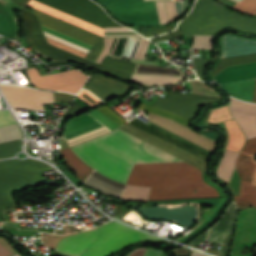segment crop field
<instances>
[{
  "label": "crop field",
  "mask_w": 256,
  "mask_h": 256,
  "mask_svg": "<svg viewBox=\"0 0 256 256\" xmlns=\"http://www.w3.org/2000/svg\"><path fill=\"white\" fill-rule=\"evenodd\" d=\"M72 149L94 169L124 183L134 163L181 161L119 129ZM126 183L151 187L148 200L219 196L201 170L185 162L135 164Z\"/></svg>",
  "instance_id": "1"
},
{
  "label": "crop field",
  "mask_w": 256,
  "mask_h": 256,
  "mask_svg": "<svg viewBox=\"0 0 256 256\" xmlns=\"http://www.w3.org/2000/svg\"><path fill=\"white\" fill-rule=\"evenodd\" d=\"M148 117H149V121L150 122H152V123H154V124H156V125H158V126H160V127H162V128H164V129H166V130H168V131H170V132H172V133H174V134H176V135H178V136H180V137H182V138H184V139H186V140H188V141H190V142H192V143H194V144H196V145H198V146H200V147H202V148H204V149H206V150H208V151H213L214 150V148H215V142H213V141H211V140H209V139H207V138H205V137H203V136H201V135H199V134H197V133H195V132H193V131H191V130H189V129H187V128H185V127H183V126H181V125H179V124H177V123H175V122H172V121H170V120H168V119H165V118H162V117H159V116H155V115H152V114H149L148 113ZM152 123H150L151 125H153V126H155V127H157V128H159V129H161V130H163V131H165V132H167V133H169V134H171V135H173V136H175V137H177V138H179V139H181V140H183V141H185V142H187V143H189V144H191V145H193V146H195V147H197V148H199V149H201V150H203V151H205V152H207V153H210V152H208V151H206V150H204V149H202V148H200V147H198V146H196V145H194V144H192V143H190V142H188V141H186V140H184V139H182V138H180V137H178V136H176V135H174V134H172V133H170V132H168V131H166V130H164V129H162V128H160V127H158V126H156V125H154V124H152ZM126 125H128V126H130V127H132V128H134V129H136V130H138V131H140V132H142V133H144V134H146V135H148V136H150V137H152V138H154V139H156V140H158V141H160V142H162V143H164V144H166V145H168V146H170V147H172V148H174V149H176V150H178V151H180V152H182V153H184V154H186V155H188V156H190V157H192V158H194V159H196V160H198V161H200V162H202V163H204V164H206V160H207V156L209 155V154H207V153H205V152H203V151H201V150H199V149H197V148H195V147H193V146H191V145H189V144H187V143H185V142H183V141H181V140H179V139H177V138H175V137H173V136H171V135H169V134H167V133H165V132H163V131H161V130H159V129H157V128H155V127H153V126H151V125H146L145 123H143V122H141V121H139L138 119H136V118H134L133 120H131V121H129V122H127L126 123ZM125 126V125H124ZM123 127V126H122ZM127 127V126H126ZM121 128V127H120ZM125 128V127H124ZM129 128V127H128ZM123 129V128H122ZM127 129V128H126ZM131 129V128H130ZM125 130V129H124ZM129 130V129H128ZM133 130V129H132ZM127 131V130H126ZM131 131V130H130ZM135 131V130H134ZM129 132V131H128ZM133 132V131H132ZM137 132V131H136ZM131 133V132H130ZM135 133V132H134ZM139 133V132H138ZM133 134V133H132ZM137 134V133H136ZM141 134V133H140ZM135 135V134H134ZM139 135V134H138ZM143 135V134H142ZM137 136V135H136ZM141 136V135H140ZM145 136V135H144ZM139 137V136H138ZM143 137V136H142ZM147 137V136H146ZM141 138V137H140ZM145 138V137H144ZM149 138V137H148ZM143 139V138H142ZM147 139V138H146ZM151 139V138H150ZM145 140V139H144ZM149 140V139H148ZM153 140V139H152ZM147 141V140H146ZM151 141V140H150ZM155 141V140H154ZM149 142V141H148ZM153 142V141H152ZM157 142V141H156ZM151 143V142H150ZM155 143V142H154ZM159 143V142H158ZM153 144V143H152ZM157 144V143H156ZM161 144V143H160ZM155 145V144H154ZM159 145V144H158ZM163 145V144H162ZM157 146V145H156ZM161 146V145H160ZM165 146V145H164ZM159 147V146H158ZM163 147V146H162ZM167 147V146H166ZM161 148V147H160ZM165 148V147H164ZM169 148V147H168ZM163 149V148H162ZM167 149V148H166ZM171 149V148H170ZM165 150V149H164ZM169 150V149H168ZM173 150V149H172ZM167 151V150H166ZM171 151V150H170ZM175 151V150H174ZM169 152V151H168ZM173 152V151H172ZM177 152V151H176ZM171 153V152H170ZM175 153V152H174ZM179 153V152H178ZM173 154V153H172ZM177 154V153H176ZM181 154V153H180ZM175 155V154H174ZM179 155V154H178ZM183 155V154H182ZM177 156V155H176ZM181 156V155H180ZM185 156V155H184ZM179 157V156H178ZM183 157V156H182ZM187 157V156H186ZM181 158V157H180ZM185 158V157H184ZM189 158V157H188ZM183 159V158H182ZM187 159V158H186ZM191 159V158H190ZM185 160V159H184ZM189 160V159H188ZM193 160V159H192ZM187 161V160H186ZM191 161V160H190ZM195 161V160H194ZM189 162V161H188ZM193 162V161H192ZM197 162V161H196ZM191 163V162H190ZM195 163V162H194ZM199 163V162H198ZM193 164V163H192ZM197 164V163H196ZM201 164V163H200ZM195 165V164H194ZM199 165V164H198ZM203 165V164H202ZM197 166V165H196ZM201 166V165H200ZM205 166V165H204ZM199 167V166H198ZM203 167V166H202ZM201 168V167H200ZM205 168V167H204ZM203 169V168H202ZM205 170V169H204Z\"/></svg>",
  "instance_id": "2"
},
{
  "label": "crop field",
  "mask_w": 256,
  "mask_h": 256,
  "mask_svg": "<svg viewBox=\"0 0 256 256\" xmlns=\"http://www.w3.org/2000/svg\"><path fill=\"white\" fill-rule=\"evenodd\" d=\"M196 3L191 13L177 27L185 37L212 35L224 27L256 33V18L241 17L209 0H197Z\"/></svg>",
  "instance_id": "3"
},
{
  "label": "crop field",
  "mask_w": 256,
  "mask_h": 256,
  "mask_svg": "<svg viewBox=\"0 0 256 256\" xmlns=\"http://www.w3.org/2000/svg\"><path fill=\"white\" fill-rule=\"evenodd\" d=\"M49 169L32 160L0 162V191L42 182L39 172ZM10 190L0 192V209L15 206Z\"/></svg>",
  "instance_id": "4"
},
{
  "label": "crop field",
  "mask_w": 256,
  "mask_h": 256,
  "mask_svg": "<svg viewBox=\"0 0 256 256\" xmlns=\"http://www.w3.org/2000/svg\"><path fill=\"white\" fill-rule=\"evenodd\" d=\"M99 230L101 235L98 242L82 256H111L134 243L162 241L117 222L104 224Z\"/></svg>",
  "instance_id": "5"
},
{
  "label": "crop field",
  "mask_w": 256,
  "mask_h": 256,
  "mask_svg": "<svg viewBox=\"0 0 256 256\" xmlns=\"http://www.w3.org/2000/svg\"><path fill=\"white\" fill-rule=\"evenodd\" d=\"M18 12L21 14L24 20L26 40L37 53L54 62L71 61L91 68H98L99 64L97 63H93L86 59L49 46V44H47L44 39L40 24L36 16L23 8Z\"/></svg>",
  "instance_id": "6"
},
{
  "label": "crop field",
  "mask_w": 256,
  "mask_h": 256,
  "mask_svg": "<svg viewBox=\"0 0 256 256\" xmlns=\"http://www.w3.org/2000/svg\"><path fill=\"white\" fill-rule=\"evenodd\" d=\"M256 152V138L248 139L241 150L236 161V169L240 180L239 196H233L238 209L249 206L256 208V184H254V174L256 163L253 156ZM245 158H247L245 160Z\"/></svg>",
  "instance_id": "7"
},
{
  "label": "crop field",
  "mask_w": 256,
  "mask_h": 256,
  "mask_svg": "<svg viewBox=\"0 0 256 256\" xmlns=\"http://www.w3.org/2000/svg\"><path fill=\"white\" fill-rule=\"evenodd\" d=\"M120 21L137 25H159L155 2L142 0H98Z\"/></svg>",
  "instance_id": "8"
},
{
  "label": "crop field",
  "mask_w": 256,
  "mask_h": 256,
  "mask_svg": "<svg viewBox=\"0 0 256 256\" xmlns=\"http://www.w3.org/2000/svg\"><path fill=\"white\" fill-rule=\"evenodd\" d=\"M100 27L121 26L90 0H37Z\"/></svg>",
  "instance_id": "9"
},
{
  "label": "crop field",
  "mask_w": 256,
  "mask_h": 256,
  "mask_svg": "<svg viewBox=\"0 0 256 256\" xmlns=\"http://www.w3.org/2000/svg\"><path fill=\"white\" fill-rule=\"evenodd\" d=\"M33 12H35L43 26L93 46L90 52L87 54L86 59L95 62L103 48L102 37L39 12L35 9H33Z\"/></svg>",
  "instance_id": "10"
},
{
  "label": "crop field",
  "mask_w": 256,
  "mask_h": 256,
  "mask_svg": "<svg viewBox=\"0 0 256 256\" xmlns=\"http://www.w3.org/2000/svg\"><path fill=\"white\" fill-rule=\"evenodd\" d=\"M30 81L33 85L42 89H53L64 92L76 93L82 87L86 78V74L74 69L67 72L43 76L42 79L46 85H44L38 71L32 67L26 71Z\"/></svg>",
  "instance_id": "11"
},
{
  "label": "crop field",
  "mask_w": 256,
  "mask_h": 256,
  "mask_svg": "<svg viewBox=\"0 0 256 256\" xmlns=\"http://www.w3.org/2000/svg\"><path fill=\"white\" fill-rule=\"evenodd\" d=\"M220 98L169 92V98L157 97L153 107L163 109L190 120L199 105Z\"/></svg>",
  "instance_id": "12"
},
{
  "label": "crop field",
  "mask_w": 256,
  "mask_h": 256,
  "mask_svg": "<svg viewBox=\"0 0 256 256\" xmlns=\"http://www.w3.org/2000/svg\"><path fill=\"white\" fill-rule=\"evenodd\" d=\"M151 45L143 38H104V49L96 62L101 63L106 54L144 60Z\"/></svg>",
  "instance_id": "13"
},
{
  "label": "crop field",
  "mask_w": 256,
  "mask_h": 256,
  "mask_svg": "<svg viewBox=\"0 0 256 256\" xmlns=\"http://www.w3.org/2000/svg\"><path fill=\"white\" fill-rule=\"evenodd\" d=\"M12 108L43 110L41 104L52 102V93L27 87L0 85Z\"/></svg>",
  "instance_id": "14"
},
{
  "label": "crop field",
  "mask_w": 256,
  "mask_h": 256,
  "mask_svg": "<svg viewBox=\"0 0 256 256\" xmlns=\"http://www.w3.org/2000/svg\"><path fill=\"white\" fill-rule=\"evenodd\" d=\"M109 131L95 118L87 114L69 120L61 137L65 138L70 146H73Z\"/></svg>",
  "instance_id": "15"
},
{
  "label": "crop field",
  "mask_w": 256,
  "mask_h": 256,
  "mask_svg": "<svg viewBox=\"0 0 256 256\" xmlns=\"http://www.w3.org/2000/svg\"><path fill=\"white\" fill-rule=\"evenodd\" d=\"M28 6L33 7L35 9H38L42 12H45L47 14H50L52 16H55L57 18H60L62 20H65L69 23H72L74 25H77L79 27H82L84 29H87L91 32H94L96 34H99L103 36V29L99 28L97 26H94L90 23H87L85 21H82L78 18H75L73 16H70L66 13H63L61 11H58L56 9H53L49 6H46L44 4H41L37 1L30 0L28 3ZM123 36H140L133 32L132 30L126 28V27H114V28H104V37H123Z\"/></svg>",
  "instance_id": "16"
},
{
  "label": "crop field",
  "mask_w": 256,
  "mask_h": 256,
  "mask_svg": "<svg viewBox=\"0 0 256 256\" xmlns=\"http://www.w3.org/2000/svg\"><path fill=\"white\" fill-rule=\"evenodd\" d=\"M84 87L90 89L105 101L117 95H124L132 88L131 85L101 76L96 73L91 76Z\"/></svg>",
  "instance_id": "17"
},
{
  "label": "crop field",
  "mask_w": 256,
  "mask_h": 256,
  "mask_svg": "<svg viewBox=\"0 0 256 256\" xmlns=\"http://www.w3.org/2000/svg\"><path fill=\"white\" fill-rule=\"evenodd\" d=\"M98 229L66 236L57 245L56 250L72 256H80L91 244L95 243Z\"/></svg>",
  "instance_id": "18"
},
{
  "label": "crop field",
  "mask_w": 256,
  "mask_h": 256,
  "mask_svg": "<svg viewBox=\"0 0 256 256\" xmlns=\"http://www.w3.org/2000/svg\"><path fill=\"white\" fill-rule=\"evenodd\" d=\"M222 49V58L256 53V41L225 35L222 37Z\"/></svg>",
  "instance_id": "19"
},
{
  "label": "crop field",
  "mask_w": 256,
  "mask_h": 256,
  "mask_svg": "<svg viewBox=\"0 0 256 256\" xmlns=\"http://www.w3.org/2000/svg\"><path fill=\"white\" fill-rule=\"evenodd\" d=\"M86 183L103 193L109 194L119 199L126 187L123 184L117 183L104 177L94 170L86 180Z\"/></svg>",
  "instance_id": "20"
},
{
  "label": "crop field",
  "mask_w": 256,
  "mask_h": 256,
  "mask_svg": "<svg viewBox=\"0 0 256 256\" xmlns=\"http://www.w3.org/2000/svg\"><path fill=\"white\" fill-rule=\"evenodd\" d=\"M238 154L239 153L228 151L218 170L219 176L231 185L236 195H238L239 180L234 163Z\"/></svg>",
  "instance_id": "21"
},
{
  "label": "crop field",
  "mask_w": 256,
  "mask_h": 256,
  "mask_svg": "<svg viewBox=\"0 0 256 256\" xmlns=\"http://www.w3.org/2000/svg\"><path fill=\"white\" fill-rule=\"evenodd\" d=\"M255 80H244V81H236L229 83H222L220 86L226 91L229 95L236 97L238 99L246 100L251 102Z\"/></svg>",
  "instance_id": "22"
},
{
  "label": "crop field",
  "mask_w": 256,
  "mask_h": 256,
  "mask_svg": "<svg viewBox=\"0 0 256 256\" xmlns=\"http://www.w3.org/2000/svg\"><path fill=\"white\" fill-rule=\"evenodd\" d=\"M170 23L177 19L186 9V2L165 1ZM164 1L156 2L161 24L169 23Z\"/></svg>",
  "instance_id": "23"
},
{
  "label": "crop field",
  "mask_w": 256,
  "mask_h": 256,
  "mask_svg": "<svg viewBox=\"0 0 256 256\" xmlns=\"http://www.w3.org/2000/svg\"><path fill=\"white\" fill-rule=\"evenodd\" d=\"M62 156L64 163L66 166L72 170L75 175L81 180L85 181V179L88 177V175L91 173L93 169L88 167L86 164H84L82 161H80L70 150V148L62 150Z\"/></svg>",
  "instance_id": "24"
},
{
  "label": "crop field",
  "mask_w": 256,
  "mask_h": 256,
  "mask_svg": "<svg viewBox=\"0 0 256 256\" xmlns=\"http://www.w3.org/2000/svg\"><path fill=\"white\" fill-rule=\"evenodd\" d=\"M182 78L169 77L162 75H133L130 78V82L141 84L144 86H164L172 85L182 81Z\"/></svg>",
  "instance_id": "25"
},
{
  "label": "crop field",
  "mask_w": 256,
  "mask_h": 256,
  "mask_svg": "<svg viewBox=\"0 0 256 256\" xmlns=\"http://www.w3.org/2000/svg\"><path fill=\"white\" fill-rule=\"evenodd\" d=\"M229 134V142L226 150L239 152L242 145L245 143V136L237 127L234 120L220 123Z\"/></svg>",
  "instance_id": "26"
},
{
  "label": "crop field",
  "mask_w": 256,
  "mask_h": 256,
  "mask_svg": "<svg viewBox=\"0 0 256 256\" xmlns=\"http://www.w3.org/2000/svg\"><path fill=\"white\" fill-rule=\"evenodd\" d=\"M17 33L18 26L13 13L0 5V34L12 38Z\"/></svg>",
  "instance_id": "27"
},
{
  "label": "crop field",
  "mask_w": 256,
  "mask_h": 256,
  "mask_svg": "<svg viewBox=\"0 0 256 256\" xmlns=\"http://www.w3.org/2000/svg\"><path fill=\"white\" fill-rule=\"evenodd\" d=\"M237 213L238 209L233 201L221 219L210 229L233 233L235 229Z\"/></svg>",
  "instance_id": "28"
},
{
  "label": "crop field",
  "mask_w": 256,
  "mask_h": 256,
  "mask_svg": "<svg viewBox=\"0 0 256 256\" xmlns=\"http://www.w3.org/2000/svg\"><path fill=\"white\" fill-rule=\"evenodd\" d=\"M98 109L119 125L126 122L106 106L100 107ZM99 110L97 109L92 110L89 112V114H91L93 117H95L97 120H99L101 123H103L105 126H107L111 130L119 126L115 122H113L111 119H109L107 116H105L103 113H101Z\"/></svg>",
  "instance_id": "29"
},
{
  "label": "crop field",
  "mask_w": 256,
  "mask_h": 256,
  "mask_svg": "<svg viewBox=\"0 0 256 256\" xmlns=\"http://www.w3.org/2000/svg\"><path fill=\"white\" fill-rule=\"evenodd\" d=\"M251 62H256V54L221 59L220 62L216 65L215 69L212 71L211 75L214 77L227 67Z\"/></svg>",
  "instance_id": "30"
},
{
  "label": "crop field",
  "mask_w": 256,
  "mask_h": 256,
  "mask_svg": "<svg viewBox=\"0 0 256 256\" xmlns=\"http://www.w3.org/2000/svg\"><path fill=\"white\" fill-rule=\"evenodd\" d=\"M134 73L166 74V75H176V76L184 77V75L178 68L141 65V64H136Z\"/></svg>",
  "instance_id": "31"
},
{
  "label": "crop field",
  "mask_w": 256,
  "mask_h": 256,
  "mask_svg": "<svg viewBox=\"0 0 256 256\" xmlns=\"http://www.w3.org/2000/svg\"><path fill=\"white\" fill-rule=\"evenodd\" d=\"M233 234L228 233H220L216 231H210L207 241L215 242V243H222L221 251L219 256H228L229 248L232 240Z\"/></svg>",
  "instance_id": "32"
},
{
  "label": "crop field",
  "mask_w": 256,
  "mask_h": 256,
  "mask_svg": "<svg viewBox=\"0 0 256 256\" xmlns=\"http://www.w3.org/2000/svg\"><path fill=\"white\" fill-rule=\"evenodd\" d=\"M150 188L127 185L122 198L147 201Z\"/></svg>",
  "instance_id": "33"
},
{
  "label": "crop field",
  "mask_w": 256,
  "mask_h": 256,
  "mask_svg": "<svg viewBox=\"0 0 256 256\" xmlns=\"http://www.w3.org/2000/svg\"><path fill=\"white\" fill-rule=\"evenodd\" d=\"M21 138V131L18 125H11L0 128V143Z\"/></svg>",
  "instance_id": "34"
},
{
  "label": "crop field",
  "mask_w": 256,
  "mask_h": 256,
  "mask_svg": "<svg viewBox=\"0 0 256 256\" xmlns=\"http://www.w3.org/2000/svg\"><path fill=\"white\" fill-rule=\"evenodd\" d=\"M231 118L232 117L228 112V105H227V106H223V107L211 110L207 121L218 123L222 121L231 120Z\"/></svg>",
  "instance_id": "35"
},
{
  "label": "crop field",
  "mask_w": 256,
  "mask_h": 256,
  "mask_svg": "<svg viewBox=\"0 0 256 256\" xmlns=\"http://www.w3.org/2000/svg\"><path fill=\"white\" fill-rule=\"evenodd\" d=\"M230 111L256 114V105L231 98Z\"/></svg>",
  "instance_id": "36"
},
{
  "label": "crop field",
  "mask_w": 256,
  "mask_h": 256,
  "mask_svg": "<svg viewBox=\"0 0 256 256\" xmlns=\"http://www.w3.org/2000/svg\"><path fill=\"white\" fill-rule=\"evenodd\" d=\"M20 144H21V139L11 141V142L1 143L0 144V158L14 155L15 152L20 150V148H19Z\"/></svg>",
  "instance_id": "37"
},
{
  "label": "crop field",
  "mask_w": 256,
  "mask_h": 256,
  "mask_svg": "<svg viewBox=\"0 0 256 256\" xmlns=\"http://www.w3.org/2000/svg\"><path fill=\"white\" fill-rule=\"evenodd\" d=\"M232 8L239 12L256 15V0H241Z\"/></svg>",
  "instance_id": "38"
},
{
  "label": "crop field",
  "mask_w": 256,
  "mask_h": 256,
  "mask_svg": "<svg viewBox=\"0 0 256 256\" xmlns=\"http://www.w3.org/2000/svg\"><path fill=\"white\" fill-rule=\"evenodd\" d=\"M102 64L108 65L116 69L132 72V73L134 71V66H135V64L133 63L117 61V60H112L107 58H104V60L102 61Z\"/></svg>",
  "instance_id": "39"
},
{
  "label": "crop field",
  "mask_w": 256,
  "mask_h": 256,
  "mask_svg": "<svg viewBox=\"0 0 256 256\" xmlns=\"http://www.w3.org/2000/svg\"><path fill=\"white\" fill-rule=\"evenodd\" d=\"M213 36H194L191 49H212Z\"/></svg>",
  "instance_id": "40"
},
{
  "label": "crop field",
  "mask_w": 256,
  "mask_h": 256,
  "mask_svg": "<svg viewBox=\"0 0 256 256\" xmlns=\"http://www.w3.org/2000/svg\"><path fill=\"white\" fill-rule=\"evenodd\" d=\"M140 109H143V110L155 113V114H159V115L171 118V119L176 120V121H178V122H180L184 125H187V122H188V120L183 119V118H181V117H179L175 114H172V113H169V112H166V111H163V110H159V109H156V108H153V107H150V106H146V105H143V104H141Z\"/></svg>",
  "instance_id": "41"
},
{
  "label": "crop field",
  "mask_w": 256,
  "mask_h": 256,
  "mask_svg": "<svg viewBox=\"0 0 256 256\" xmlns=\"http://www.w3.org/2000/svg\"><path fill=\"white\" fill-rule=\"evenodd\" d=\"M98 71L113 75L115 77H118V78H121V79H124L127 81L129 80V78L131 76V74H129V73H125V72L110 68V67L102 65V64H100Z\"/></svg>",
  "instance_id": "42"
},
{
  "label": "crop field",
  "mask_w": 256,
  "mask_h": 256,
  "mask_svg": "<svg viewBox=\"0 0 256 256\" xmlns=\"http://www.w3.org/2000/svg\"><path fill=\"white\" fill-rule=\"evenodd\" d=\"M78 97L92 107L102 103L94 95L86 90H81L78 94Z\"/></svg>",
  "instance_id": "43"
},
{
  "label": "crop field",
  "mask_w": 256,
  "mask_h": 256,
  "mask_svg": "<svg viewBox=\"0 0 256 256\" xmlns=\"http://www.w3.org/2000/svg\"><path fill=\"white\" fill-rule=\"evenodd\" d=\"M44 34H45V36L48 37V38H51V39L56 40V41H58V42H61V43H63V44L69 45V46H71V47H74V48L79 49V50H81V51H84V52H86V53H88V51H89V49H87V48H84V47H82V46H79V45H77V44H74V43H72V42H69V41H67V40H65V39H62V38H60V37H57V36H55V35H52V34H50V33L45 32V31H44Z\"/></svg>",
  "instance_id": "44"
},
{
  "label": "crop field",
  "mask_w": 256,
  "mask_h": 256,
  "mask_svg": "<svg viewBox=\"0 0 256 256\" xmlns=\"http://www.w3.org/2000/svg\"><path fill=\"white\" fill-rule=\"evenodd\" d=\"M196 73L202 79V73L205 67L210 63L211 59H193Z\"/></svg>",
  "instance_id": "45"
},
{
  "label": "crop field",
  "mask_w": 256,
  "mask_h": 256,
  "mask_svg": "<svg viewBox=\"0 0 256 256\" xmlns=\"http://www.w3.org/2000/svg\"><path fill=\"white\" fill-rule=\"evenodd\" d=\"M45 38H46V37H45ZM46 40L48 41V43H50V44H52V45H55V46H57V47H60V48L65 49V50H67V51H70V52H72V53H74V54H77V55L83 57V58H85V56H86V53H84V52H81V51H79V50H76V49L71 48V47H69V46L63 45V44H61V43H58V42L53 41V40L48 39V38H46Z\"/></svg>",
  "instance_id": "46"
},
{
  "label": "crop field",
  "mask_w": 256,
  "mask_h": 256,
  "mask_svg": "<svg viewBox=\"0 0 256 256\" xmlns=\"http://www.w3.org/2000/svg\"><path fill=\"white\" fill-rule=\"evenodd\" d=\"M145 249L137 250L129 256H142ZM162 252L154 249H146L143 256H161Z\"/></svg>",
  "instance_id": "47"
},
{
  "label": "crop field",
  "mask_w": 256,
  "mask_h": 256,
  "mask_svg": "<svg viewBox=\"0 0 256 256\" xmlns=\"http://www.w3.org/2000/svg\"><path fill=\"white\" fill-rule=\"evenodd\" d=\"M15 121L8 111H0V127L14 124Z\"/></svg>",
  "instance_id": "48"
},
{
  "label": "crop field",
  "mask_w": 256,
  "mask_h": 256,
  "mask_svg": "<svg viewBox=\"0 0 256 256\" xmlns=\"http://www.w3.org/2000/svg\"><path fill=\"white\" fill-rule=\"evenodd\" d=\"M175 27L173 25L167 27V28H162V29H156V30H152V31H143V32H139L140 34H142L145 37H151V36H155L161 33H165V32H169L172 31Z\"/></svg>",
  "instance_id": "49"
},
{
  "label": "crop field",
  "mask_w": 256,
  "mask_h": 256,
  "mask_svg": "<svg viewBox=\"0 0 256 256\" xmlns=\"http://www.w3.org/2000/svg\"><path fill=\"white\" fill-rule=\"evenodd\" d=\"M182 34H183L182 32H180L179 30H176V31H174L172 33H169V34H166V35L151 38V40L153 42H158V41L166 40V39L176 37V36H179V35H182Z\"/></svg>",
  "instance_id": "50"
},
{
  "label": "crop field",
  "mask_w": 256,
  "mask_h": 256,
  "mask_svg": "<svg viewBox=\"0 0 256 256\" xmlns=\"http://www.w3.org/2000/svg\"><path fill=\"white\" fill-rule=\"evenodd\" d=\"M42 27H43V26H42ZM43 30H45V31H47V32H50V33H52V34H55V35H57V36H60V37L65 38V39H67V40H69V41H72V42H74V43H77V44H79V45H82V46H84V47H87V48L91 49V46H89V45H86V44H84V43H82V42H79V41L74 40V39H72V38H69V37H67V36H65V35H62V34L57 33V32H55V31H52V30H50V29H48V28L43 27Z\"/></svg>",
  "instance_id": "51"
},
{
  "label": "crop field",
  "mask_w": 256,
  "mask_h": 256,
  "mask_svg": "<svg viewBox=\"0 0 256 256\" xmlns=\"http://www.w3.org/2000/svg\"><path fill=\"white\" fill-rule=\"evenodd\" d=\"M80 111H84V109H82L78 104L74 103V105L66 112L65 117L69 118Z\"/></svg>",
  "instance_id": "52"
},
{
  "label": "crop field",
  "mask_w": 256,
  "mask_h": 256,
  "mask_svg": "<svg viewBox=\"0 0 256 256\" xmlns=\"http://www.w3.org/2000/svg\"><path fill=\"white\" fill-rule=\"evenodd\" d=\"M171 252L174 256H188L189 255V250L181 247L177 250L169 251Z\"/></svg>",
  "instance_id": "53"
},
{
  "label": "crop field",
  "mask_w": 256,
  "mask_h": 256,
  "mask_svg": "<svg viewBox=\"0 0 256 256\" xmlns=\"http://www.w3.org/2000/svg\"><path fill=\"white\" fill-rule=\"evenodd\" d=\"M12 255L3 245L0 244V256H9Z\"/></svg>",
  "instance_id": "54"
},
{
  "label": "crop field",
  "mask_w": 256,
  "mask_h": 256,
  "mask_svg": "<svg viewBox=\"0 0 256 256\" xmlns=\"http://www.w3.org/2000/svg\"><path fill=\"white\" fill-rule=\"evenodd\" d=\"M12 1L16 2L17 4H19L20 6L25 8V6L29 0H12Z\"/></svg>",
  "instance_id": "55"
},
{
  "label": "crop field",
  "mask_w": 256,
  "mask_h": 256,
  "mask_svg": "<svg viewBox=\"0 0 256 256\" xmlns=\"http://www.w3.org/2000/svg\"><path fill=\"white\" fill-rule=\"evenodd\" d=\"M191 256H207V255H203V254L192 251Z\"/></svg>",
  "instance_id": "56"
},
{
  "label": "crop field",
  "mask_w": 256,
  "mask_h": 256,
  "mask_svg": "<svg viewBox=\"0 0 256 256\" xmlns=\"http://www.w3.org/2000/svg\"><path fill=\"white\" fill-rule=\"evenodd\" d=\"M252 102H256V85H255V90H254V95H253Z\"/></svg>",
  "instance_id": "57"
},
{
  "label": "crop field",
  "mask_w": 256,
  "mask_h": 256,
  "mask_svg": "<svg viewBox=\"0 0 256 256\" xmlns=\"http://www.w3.org/2000/svg\"><path fill=\"white\" fill-rule=\"evenodd\" d=\"M10 0H0L1 3H3L4 5L9 2Z\"/></svg>",
  "instance_id": "58"
},
{
  "label": "crop field",
  "mask_w": 256,
  "mask_h": 256,
  "mask_svg": "<svg viewBox=\"0 0 256 256\" xmlns=\"http://www.w3.org/2000/svg\"><path fill=\"white\" fill-rule=\"evenodd\" d=\"M145 101V100H144ZM142 102L143 104H147V105H150V106H152V103H148V102Z\"/></svg>",
  "instance_id": "59"
},
{
  "label": "crop field",
  "mask_w": 256,
  "mask_h": 256,
  "mask_svg": "<svg viewBox=\"0 0 256 256\" xmlns=\"http://www.w3.org/2000/svg\"><path fill=\"white\" fill-rule=\"evenodd\" d=\"M231 1H233V2L237 3V2H238V1H240V0H231Z\"/></svg>",
  "instance_id": "60"
},
{
  "label": "crop field",
  "mask_w": 256,
  "mask_h": 256,
  "mask_svg": "<svg viewBox=\"0 0 256 256\" xmlns=\"http://www.w3.org/2000/svg\"><path fill=\"white\" fill-rule=\"evenodd\" d=\"M13 256H19L18 254H16V255H13Z\"/></svg>",
  "instance_id": "61"
},
{
  "label": "crop field",
  "mask_w": 256,
  "mask_h": 256,
  "mask_svg": "<svg viewBox=\"0 0 256 256\" xmlns=\"http://www.w3.org/2000/svg\"><path fill=\"white\" fill-rule=\"evenodd\" d=\"M163 256H165V254H163Z\"/></svg>",
  "instance_id": "62"
}]
</instances>
